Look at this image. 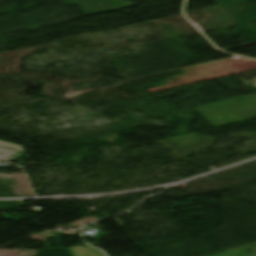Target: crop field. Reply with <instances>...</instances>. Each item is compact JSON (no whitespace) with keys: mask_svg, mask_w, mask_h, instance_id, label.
<instances>
[{"mask_svg":"<svg viewBox=\"0 0 256 256\" xmlns=\"http://www.w3.org/2000/svg\"><path fill=\"white\" fill-rule=\"evenodd\" d=\"M8 148H13L12 150ZM23 150V147L0 141V160L8 161L9 158Z\"/></svg>","mask_w":256,"mask_h":256,"instance_id":"1","label":"crop field"},{"mask_svg":"<svg viewBox=\"0 0 256 256\" xmlns=\"http://www.w3.org/2000/svg\"><path fill=\"white\" fill-rule=\"evenodd\" d=\"M69 250L73 256H91V254H93V256H104L96 249L88 246H77L70 248ZM77 251H79L80 253H78Z\"/></svg>","mask_w":256,"mask_h":256,"instance_id":"2","label":"crop field"}]
</instances>
